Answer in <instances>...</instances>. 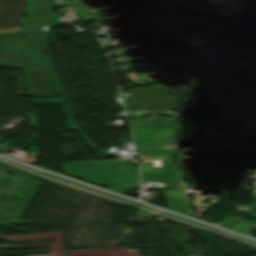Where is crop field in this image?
I'll return each instance as SVG.
<instances>
[{"label": "crop field", "instance_id": "34b2d1b8", "mask_svg": "<svg viewBox=\"0 0 256 256\" xmlns=\"http://www.w3.org/2000/svg\"><path fill=\"white\" fill-rule=\"evenodd\" d=\"M247 224H243L239 229L236 230V232H239L241 234H244V235H250V236H253L251 234V230L249 229V225H248V222H246Z\"/></svg>", "mask_w": 256, "mask_h": 256}, {"label": "crop field", "instance_id": "ac0d7876", "mask_svg": "<svg viewBox=\"0 0 256 256\" xmlns=\"http://www.w3.org/2000/svg\"><path fill=\"white\" fill-rule=\"evenodd\" d=\"M26 1H27L28 15L24 17L22 30H26L27 19L29 17L30 12L33 10V7H34L31 0H26Z\"/></svg>", "mask_w": 256, "mask_h": 256}, {"label": "crop field", "instance_id": "8a807250", "mask_svg": "<svg viewBox=\"0 0 256 256\" xmlns=\"http://www.w3.org/2000/svg\"><path fill=\"white\" fill-rule=\"evenodd\" d=\"M25 31L0 34V66L22 68L18 47Z\"/></svg>", "mask_w": 256, "mask_h": 256}, {"label": "crop field", "instance_id": "f4fd0767", "mask_svg": "<svg viewBox=\"0 0 256 256\" xmlns=\"http://www.w3.org/2000/svg\"><path fill=\"white\" fill-rule=\"evenodd\" d=\"M73 10H75V9H73Z\"/></svg>", "mask_w": 256, "mask_h": 256}, {"label": "crop field", "instance_id": "412701ff", "mask_svg": "<svg viewBox=\"0 0 256 256\" xmlns=\"http://www.w3.org/2000/svg\"><path fill=\"white\" fill-rule=\"evenodd\" d=\"M250 218H251V219L256 218V204H254V205L251 207Z\"/></svg>", "mask_w": 256, "mask_h": 256}]
</instances>
